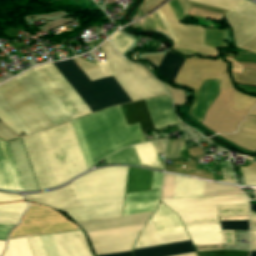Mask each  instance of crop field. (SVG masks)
Wrapping results in <instances>:
<instances>
[{"label":"crop field","mask_w":256,"mask_h":256,"mask_svg":"<svg viewBox=\"0 0 256 256\" xmlns=\"http://www.w3.org/2000/svg\"><path fill=\"white\" fill-rule=\"evenodd\" d=\"M47 256H59L51 234L39 236ZM38 236L29 237L28 242L34 256H46Z\"/></svg>","instance_id":"bd1437ed"},{"label":"crop field","mask_w":256,"mask_h":256,"mask_svg":"<svg viewBox=\"0 0 256 256\" xmlns=\"http://www.w3.org/2000/svg\"><path fill=\"white\" fill-rule=\"evenodd\" d=\"M204 181L177 176L174 198L202 196Z\"/></svg>","instance_id":"750c4746"},{"label":"crop field","mask_w":256,"mask_h":256,"mask_svg":"<svg viewBox=\"0 0 256 256\" xmlns=\"http://www.w3.org/2000/svg\"><path fill=\"white\" fill-rule=\"evenodd\" d=\"M20 217L21 215L0 213V224L17 225ZM9 225H0V239L6 240L8 231L14 227Z\"/></svg>","instance_id":"c21b1889"},{"label":"crop field","mask_w":256,"mask_h":256,"mask_svg":"<svg viewBox=\"0 0 256 256\" xmlns=\"http://www.w3.org/2000/svg\"><path fill=\"white\" fill-rule=\"evenodd\" d=\"M184 60L185 58L167 52L157 70L162 77L173 82Z\"/></svg>","instance_id":"1d83c4d3"},{"label":"crop field","mask_w":256,"mask_h":256,"mask_svg":"<svg viewBox=\"0 0 256 256\" xmlns=\"http://www.w3.org/2000/svg\"><path fill=\"white\" fill-rule=\"evenodd\" d=\"M0 138L8 141L11 139L18 138L11 130H9L6 126L0 123Z\"/></svg>","instance_id":"db79e9e6"},{"label":"crop field","mask_w":256,"mask_h":256,"mask_svg":"<svg viewBox=\"0 0 256 256\" xmlns=\"http://www.w3.org/2000/svg\"><path fill=\"white\" fill-rule=\"evenodd\" d=\"M224 32L205 28V44L214 48L227 46L224 42Z\"/></svg>","instance_id":"c035e120"},{"label":"crop field","mask_w":256,"mask_h":256,"mask_svg":"<svg viewBox=\"0 0 256 256\" xmlns=\"http://www.w3.org/2000/svg\"><path fill=\"white\" fill-rule=\"evenodd\" d=\"M250 256H256V252L251 251Z\"/></svg>","instance_id":"819c52e7"},{"label":"crop field","mask_w":256,"mask_h":256,"mask_svg":"<svg viewBox=\"0 0 256 256\" xmlns=\"http://www.w3.org/2000/svg\"><path fill=\"white\" fill-rule=\"evenodd\" d=\"M147 83L157 93L158 96L167 94L160 82H158L153 76L146 79Z\"/></svg>","instance_id":"447ae74e"},{"label":"crop field","mask_w":256,"mask_h":256,"mask_svg":"<svg viewBox=\"0 0 256 256\" xmlns=\"http://www.w3.org/2000/svg\"><path fill=\"white\" fill-rule=\"evenodd\" d=\"M26 191L39 190L20 139L8 143Z\"/></svg>","instance_id":"a9b5d70f"},{"label":"crop field","mask_w":256,"mask_h":256,"mask_svg":"<svg viewBox=\"0 0 256 256\" xmlns=\"http://www.w3.org/2000/svg\"><path fill=\"white\" fill-rule=\"evenodd\" d=\"M221 229L249 230L248 221L220 222Z\"/></svg>","instance_id":"1f2cbd36"},{"label":"crop field","mask_w":256,"mask_h":256,"mask_svg":"<svg viewBox=\"0 0 256 256\" xmlns=\"http://www.w3.org/2000/svg\"><path fill=\"white\" fill-rule=\"evenodd\" d=\"M163 173L153 171L151 189L161 187Z\"/></svg>","instance_id":"ae633e8c"},{"label":"crop field","mask_w":256,"mask_h":256,"mask_svg":"<svg viewBox=\"0 0 256 256\" xmlns=\"http://www.w3.org/2000/svg\"><path fill=\"white\" fill-rule=\"evenodd\" d=\"M148 17H149V19H150V21H151V23L153 24V26H154L155 29L166 32V30H165V28H164V26H163V24H162L160 18H159L158 15L156 14V12H154V13L148 15ZM166 33H167V32H166ZM166 33H165V34H166Z\"/></svg>","instance_id":"78b8030e"},{"label":"crop field","mask_w":256,"mask_h":256,"mask_svg":"<svg viewBox=\"0 0 256 256\" xmlns=\"http://www.w3.org/2000/svg\"><path fill=\"white\" fill-rule=\"evenodd\" d=\"M0 108L6 113V115L26 134H31L22 121L18 118L15 112L11 109L8 103L0 95Z\"/></svg>","instance_id":"b54c1fbb"},{"label":"crop field","mask_w":256,"mask_h":256,"mask_svg":"<svg viewBox=\"0 0 256 256\" xmlns=\"http://www.w3.org/2000/svg\"><path fill=\"white\" fill-rule=\"evenodd\" d=\"M150 222H154L158 234L184 229L177 215L162 203L148 223Z\"/></svg>","instance_id":"ae1a2a85"},{"label":"crop field","mask_w":256,"mask_h":256,"mask_svg":"<svg viewBox=\"0 0 256 256\" xmlns=\"http://www.w3.org/2000/svg\"><path fill=\"white\" fill-rule=\"evenodd\" d=\"M161 19L168 20V21H175L177 22L173 12L171 11L168 3L165 4L163 7H161L159 10H157Z\"/></svg>","instance_id":"0fb4a251"},{"label":"crop field","mask_w":256,"mask_h":256,"mask_svg":"<svg viewBox=\"0 0 256 256\" xmlns=\"http://www.w3.org/2000/svg\"><path fill=\"white\" fill-rule=\"evenodd\" d=\"M226 138L238 146L256 150V116H247V118L241 123L239 130L235 134H221L219 135Z\"/></svg>","instance_id":"4177f3b9"},{"label":"crop field","mask_w":256,"mask_h":256,"mask_svg":"<svg viewBox=\"0 0 256 256\" xmlns=\"http://www.w3.org/2000/svg\"><path fill=\"white\" fill-rule=\"evenodd\" d=\"M256 219V213L251 212V218ZM251 231H256V220H250ZM251 250H256V235H251Z\"/></svg>","instance_id":"e1d0b9f6"},{"label":"crop field","mask_w":256,"mask_h":256,"mask_svg":"<svg viewBox=\"0 0 256 256\" xmlns=\"http://www.w3.org/2000/svg\"><path fill=\"white\" fill-rule=\"evenodd\" d=\"M72 229H75L74 226L63 217L45 207L38 206L30 209L22 224L11 236L38 232L46 234Z\"/></svg>","instance_id":"d1516ede"},{"label":"crop field","mask_w":256,"mask_h":256,"mask_svg":"<svg viewBox=\"0 0 256 256\" xmlns=\"http://www.w3.org/2000/svg\"><path fill=\"white\" fill-rule=\"evenodd\" d=\"M99 48L106 58L113 76L133 101L157 96L144 80L151 76L145 68L119 57L120 55L116 54L109 41L103 43Z\"/></svg>","instance_id":"dd49c442"},{"label":"crop field","mask_w":256,"mask_h":256,"mask_svg":"<svg viewBox=\"0 0 256 256\" xmlns=\"http://www.w3.org/2000/svg\"><path fill=\"white\" fill-rule=\"evenodd\" d=\"M165 1L166 0H144L143 3L140 5L139 9L146 14L157 8Z\"/></svg>","instance_id":"dbb93151"},{"label":"crop field","mask_w":256,"mask_h":256,"mask_svg":"<svg viewBox=\"0 0 256 256\" xmlns=\"http://www.w3.org/2000/svg\"><path fill=\"white\" fill-rule=\"evenodd\" d=\"M0 93L32 133L52 126L15 78L0 85Z\"/></svg>","instance_id":"5a996713"},{"label":"crop field","mask_w":256,"mask_h":256,"mask_svg":"<svg viewBox=\"0 0 256 256\" xmlns=\"http://www.w3.org/2000/svg\"><path fill=\"white\" fill-rule=\"evenodd\" d=\"M74 60L79 65V67L81 69H83L84 71H89V70H93V69H97L98 68L96 63L92 64V63H89V62H85L81 58H75Z\"/></svg>","instance_id":"0f1d7ab4"},{"label":"crop field","mask_w":256,"mask_h":256,"mask_svg":"<svg viewBox=\"0 0 256 256\" xmlns=\"http://www.w3.org/2000/svg\"><path fill=\"white\" fill-rule=\"evenodd\" d=\"M10 256H33L26 238L8 240Z\"/></svg>","instance_id":"0bd39190"},{"label":"crop field","mask_w":256,"mask_h":256,"mask_svg":"<svg viewBox=\"0 0 256 256\" xmlns=\"http://www.w3.org/2000/svg\"><path fill=\"white\" fill-rule=\"evenodd\" d=\"M71 122L88 168L120 148L145 142L138 123L127 126L120 105Z\"/></svg>","instance_id":"8a807250"},{"label":"crop field","mask_w":256,"mask_h":256,"mask_svg":"<svg viewBox=\"0 0 256 256\" xmlns=\"http://www.w3.org/2000/svg\"><path fill=\"white\" fill-rule=\"evenodd\" d=\"M243 194L237 187L205 182L203 196H222Z\"/></svg>","instance_id":"028f5c9d"},{"label":"crop field","mask_w":256,"mask_h":256,"mask_svg":"<svg viewBox=\"0 0 256 256\" xmlns=\"http://www.w3.org/2000/svg\"><path fill=\"white\" fill-rule=\"evenodd\" d=\"M164 54H160V55H148V56H145L147 57L148 59H150L151 61L155 62L156 64L159 65L161 59L163 58Z\"/></svg>","instance_id":"c5b07064"},{"label":"crop field","mask_w":256,"mask_h":256,"mask_svg":"<svg viewBox=\"0 0 256 256\" xmlns=\"http://www.w3.org/2000/svg\"><path fill=\"white\" fill-rule=\"evenodd\" d=\"M232 75L235 83L256 86V71L245 70L244 74L232 73Z\"/></svg>","instance_id":"5d738f31"},{"label":"crop field","mask_w":256,"mask_h":256,"mask_svg":"<svg viewBox=\"0 0 256 256\" xmlns=\"http://www.w3.org/2000/svg\"><path fill=\"white\" fill-rule=\"evenodd\" d=\"M158 153H163L164 146L162 142H154L153 143Z\"/></svg>","instance_id":"fb207236"},{"label":"crop field","mask_w":256,"mask_h":256,"mask_svg":"<svg viewBox=\"0 0 256 256\" xmlns=\"http://www.w3.org/2000/svg\"><path fill=\"white\" fill-rule=\"evenodd\" d=\"M60 256H92L82 231L52 234Z\"/></svg>","instance_id":"bc2a9ffb"},{"label":"crop field","mask_w":256,"mask_h":256,"mask_svg":"<svg viewBox=\"0 0 256 256\" xmlns=\"http://www.w3.org/2000/svg\"><path fill=\"white\" fill-rule=\"evenodd\" d=\"M224 245H236L234 231L231 230H221Z\"/></svg>","instance_id":"7b73153f"},{"label":"crop field","mask_w":256,"mask_h":256,"mask_svg":"<svg viewBox=\"0 0 256 256\" xmlns=\"http://www.w3.org/2000/svg\"><path fill=\"white\" fill-rule=\"evenodd\" d=\"M38 134L57 186L88 170L70 121Z\"/></svg>","instance_id":"412701ff"},{"label":"crop field","mask_w":256,"mask_h":256,"mask_svg":"<svg viewBox=\"0 0 256 256\" xmlns=\"http://www.w3.org/2000/svg\"><path fill=\"white\" fill-rule=\"evenodd\" d=\"M158 236L161 244L189 240L185 230L160 234Z\"/></svg>","instance_id":"d23c7cc5"},{"label":"crop field","mask_w":256,"mask_h":256,"mask_svg":"<svg viewBox=\"0 0 256 256\" xmlns=\"http://www.w3.org/2000/svg\"><path fill=\"white\" fill-rule=\"evenodd\" d=\"M243 174L245 185H256V163L249 167L240 168Z\"/></svg>","instance_id":"73cf0c24"},{"label":"crop field","mask_w":256,"mask_h":256,"mask_svg":"<svg viewBox=\"0 0 256 256\" xmlns=\"http://www.w3.org/2000/svg\"><path fill=\"white\" fill-rule=\"evenodd\" d=\"M6 241H0V256L3 253L4 247H5Z\"/></svg>","instance_id":"7312dd0a"},{"label":"crop field","mask_w":256,"mask_h":256,"mask_svg":"<svg viewBox=\"0 0 256 256\" xmlns=\"http://www.w3.org/2000/svg\"><path fill=\"white\" fill-rule=\"evenodd\" d=\"M159 196L160 189L126 194L123 215L154 211Z\"/></svg>","instance_id":"00972430"},{"label":"crop field","mask_w":256,"mask_h":256,"mask_svg":"<svg viewBox=\"0 0 256 256\" xmlns=\"http://www.w3.org/2000/svg\"><path fill=\"white\" fill-rule=\"evenodd\" d=\"M168 3L171 5L178 22L186 16L191 8L187 0H170Z\"/></svg>","instance_id":"03da06ac"},{"label":"crop field","mask_w":256,"mask_h":256,"mask_svg":"<svg viewBox=\"0 0 256 256\" xmlns=\"http://www.w3.org/2000/svg\"><path fill=\"white\" fill-rule=\"evenodd\" d=\"M179 256H198L196 252L194 253H189V254H184V255H179Z\"/></svg>","instance_id":"180be81f"},{"label":"crop field","mask_w":256,"mask_h":256,"mask_svg":"<svg viewBox=\"0 0 256 256\" xmlns=\"http://www.w3.org/2000/svg\"><path fill=\"white\" fill-rule=\"evenodd\" d=\"M111 40L116 48V50L121 55L127 47L134 41L118 32H116L112 37Z\"/></svg>","instance_id":"25e5ab78"},{"label":"crop field","mask_w":256,"mask_h":256,"mask_svg":"<svg viewBox=\"0 0 256 256\" xmlns=\"http://www.w3.org/2000/svg\"><path fill=\"white\" fill-rule=\"evenodd\" d=\"M219 93V80L204 81L199 92L196 104L190 110V114L202 121L209 106Z\"/></svg>","instance_id":"730fd06b"},{"label":"crop field","mask_w":256,"mask_h":256,"mask_svg":"<svg viewBox=\"0 0 256 256\" xmlns=\"http://www.w3.org/2000/svg\"><path fill=\"white\" fill-rule=\"evenodd\" d=\"M3 256H9V255H8V252H7V249H6V251H5V253H4Z\"/></svg>","instance_id":"c821d689"},{"label":"crop field","mask_w":256,"mask_h":256,"mask_svg":"<svg viewBox=\"0 0 256 256\" xmlns=\"http://www.w3.org/2000/svg\"><path fill=\"white\" fill-rule=\"evenodd\" d=\"M163 23L173 38L175 47L218 55L216 49L203 45L204 27L187 26L164 21Z\"/></svg>","instance_id":"d9b57169"},{"label":"crop field","mask_w":256,"mask_h":256,"mask_svg":"<svg viewBox=\"0 0 256 256\" xmlns=\"http://www.w3.org/2000/svg\"><path fill=\"white\" fill-rule=\"evenodd\" d=\"M240 48L252 51L256 53V36L243 44Z\"/></svg>","instance_id":"d14b1444"},{"label":"crop field","mask_w":256,"mask_h":256,"mask_svg":"<svg viewBox=\"0 0 256 256\" xmlns=\"http://www.w3.org/2000/svg\"><path fill=\"white\" fill-rule=\"evenodd\" d=\"M232 88L234 110H247L250 111L256 105V98L249 97L238 93L232 86L228 74H223L220 80V89Z\"/></svg>","instance_id":"120bbe31"},{"label":"crop field","mask_w":256,"mask_h":256,"mask_svg":"<svg viewBox=\"0 0 256 256\" xmlns=\"http://www.w3.org/2000/svg\"><path fill=\"white\" fill-rule=\"evenodd\" d=\"M21 196L0 192V201L24 199ZM26 208H27V202L20 203V204H6V205H0V212L23 214Z\"/></svg>","instance_id":"e1f06a70"},{"label":"crop field","mask_w":256,"mask_h":256,"mask_svg":"<svg viewBox=\"0 0 256 256\" xmlns=\"http://www.w3.org/2000/svg\"><path fill=\"white\" fill-rule=\"evenodd\" d=\"M224 69L225 64L221 61L186 60L174 83L198 89L206 79H220Z\"/></svg>","instance_id":"cbeb9de0"},{"label":"crop field","mask_w":256,"mask_h":256,"mask_svg":"<svg viewBox=\"0 0 256 256\" xmlns=\"http://www.w3.org/2000/svg\"><path fill=\"white\" fill-rule=\"evenodd\" d=\"M168 91L170 92L173 101L175 103V106L184 103L186 101V99L183 96L182 90L180 89H175V88H170L167 87Z\"/></svg>","instance_id":"9d1cf04e"},{"label":"crop field","mask_w":256,"mask_h":256,"mask_svg":"<svg viewBox=\"0 0 256 256\" xmlns=\"http://www.w3.org/2000/svg\"><path fill=\"white\" fill-rule=\"evenodd\" d=\"M86 74L91 79V81H93L95 79H98V78H103L104 77V75L102 74L100 69L94 70V71H90V72H86Z\"/></svg>","instance_id":"ade564c9"},{"label":"crop field","mask_w":256,"mask_h":256,"mask_svg":"<svg viewBox=\"0 0 256 256\" xmlns=\"http://www.w3.org/2000/svg\"><path fill=\"white\" fill-rule=\"evenodd\" d=\"M90 53H91V55L93 56L92 52H90ZM93 57H94V56H93ZM94 59H95V57H94ZM95 61H96V63L98 64L99 68L102 70V72H103V74L105 75V77L112 75L111 72H110V70H109V67H108L106 61L100 62V63H98L96 59H95Z\"/></svg>","instance_id":"c39391a2"},{"label":"crop field","mask_w":256,"mask_h":256,"mask_svg":"<svg viewBox=\"0 0 256 256\" xmlns=\"http://www.w3.org/2000/svg\"><path fill=\"white\" fill-rule=\"evenodd\" d=\"M190 15H195V16H200V17H205V18H214V19H221L222 15L213 13V12H208L204 10H199L192 8V10L189 12Z\"/></svg>","instance_id":"1d79db26"},{"label":"crop field","mask_w":256,"mask_h":256,"mask_svg":"<svg viewBox=\"0 0 256 256\" xmlns=\"http://www.w3.org/2000/svg\"><path fill=\"white\" fill-rule=\"evenodd\" d=\"M157 244H160V243L158 240V236H157L154 224L151 223V224H147V226L144 228L134 248L157 245ZM194 251L195 249L191 241H187V242H179V243L137 248V249H134L133 255L134 256H172V255H178V254L194 252Z\"/></svg>","instance_id":"22f410ed"},{"label":"crop field","mask_w":256,"mask_h":256,"mask_svg":"<svg viewBox=\"0 0 256 256\" xmlns=\"http://www.w3.org/2000/svg\"><path fill=\"white\" fill-rule=\"evenodd\" d=\"M0 120L18 135L23 134V132L5 115V113L1 109H0Z\"/></svg>","instance_id":"0765c3eb"},{"label":"crop field","mask_w":256,"mask_h":256,"mask_svg":"<svg viewBox=\"0 0 256 256\" xmlns=\"http://www.w3.org/2000/svg\"><path fill=\"white\" fill-rule=\"evenodd\" d=\"M152 212L131 215V216H118L112 217L108 219H100L93 221H86L77 223L81 226L85 232L102 230V229H110V228H118V227H126V226H134V225H142L145 224L148 218L151 216Z\"/></svg>","instance_id":"dafd665d"},{"label":"crop field","mask_w":256,"mask_h":256,"mask_svg":"<svg viewBox=\"0 0 256 256\" xmlns=\"http://www.w3.org/2000/svg\"><path fill=\"white\" fill-rule=\"evenodd\" d=\"M127 167L95 170L73 180L84 206L123 200ZM123 201L63 209L75 221L121 215Z\"/></svg>","instance_id":"ac0d7876"},{"label":"crop field","mask_w":256,"mask_h":256,"mask_svg":"<svg viewBox=\"0 0 256 256\" xmlns=\"http://www.w3.org/2000/svg\"><path fill=\"white\" fill-rule=\"evenodd\" d=\"M54 64L92 112L132 101L113 76L91 82L72 59Z\"/></svg>","instance_id":"f4fd0767"},{"label":"crop field","mask_w":256,"mask_h":256,"mask_svg":"<svg viewBox=\"0 0 256 256\" xmlns=\"http://www.w3.org/2000/svg\"><path fill=\"white\" fill-rule=\"evenodd\" d=\"M219 217L249 215L248 204L217 206Z\"/></svg>","instance_id":"b80d0937"},{"label":"crop field","mask_w":256,"mask_h":256,"mask_svg":"<svg viewBox=\"0 0 256 256\" xmlns=\"http://www.w3.org/2000/svg\"><path fill=\"white\" fill-rule=\"evenodd\" d=\"M133 147L141 164L162 167L151 142Z\"/></svg>","instance_id":"d32e631a"},{"label":"crop field","mask_w":256,"mask_h":256,"mask_svg":"<svg viewBox=\"0 0 256 256\" xmlns=\"http://www.w3.org/2000/svg\"><path fill=\"white\" fill-rule=\"evenodd\" d=\"M32 69L72 119L91 113L53 63L43 64Z\"/></svg>","instance_id":"d8731c3e"},{"label":"crop field","mask_w":256,"mask_h":256,"mask_svg":"<svg viewBox=\"0 0 256 256\" xmlns=\"http://www.w3.org/2000/svg\"><path fill=\"white\" fill-rule=\"evenodd\" d=\"M15 78L53 125L71 120L70 116L49 92V90L45 87L32 69Z\"/></svg>","instance_id":"3316defc"},{"label":"crop field","mask_w":256,"mask_h":256,"mask_svg":"<svg viewBox=\"0 0 256 256\" xmlns=\"http://www.w3.org/2000/svg\"><path fill=\"white\" fill-rule=\"evenodd\" d=\"M0 189L25 191L8 144L0 139Z\"/></svg>","instance_id":"4a817a6b"},{"label":"crop field","mask_w":256,"mask_h":256,"mask_svg":"<svg viewBox=\"0 0 256 256\" xmlns=\"http://www.w3.org/2000/svg\"><path fill=\"white\" fill-rule=\"evenodd\" d=\"M145 101L156 129L180 123L173 112L171 99L168 95Z\"/></svg>","instance_id":"92a150f3"},{"label":"crop field","mask_w":256,"mask_h":256,"mask_svg":"<svg viewBox=\"0 0 256 256\" xmlns=\"http://www.w3.org/2000/svg\"><path fill=\"white\" fill-rule=\"evenodd\" d=\"M121 106L128 125L139 122L143 132L155 129L144 100Z\"/></svg>","instance_id":"eef30255"},{"label":"crop field","mask_w":256,"mask_h":256,"mask_svg":"<svg viewBox=\"0 0 256 256\" xmlns=\"http://www.w3.org/2000/svg\"><path fill=\"white\" fill-rule=\"evenodd\" d=\"M100 256H132L131 251L128 252H121V253H114V254H107V255H100Z\"/></svg>","instance_id":"c3a83c6f"},{"label":"crop field","mask_w":256,"mask_h":256,"mask_svg":"<svg viewBox=\"0 0 256 256\" xmlns=\"http://www.w3.org/2000/svg\"><path fill=\"white\" fill-rule=\"evenodd\" d=\"M251 234H256V232H251Z\"/></svg>","instance_id":"a0ae1fb6"},{"label":"crop field","mask_w":256,"mask_h":256,"mask_svg":"<svg viewBox=\"0 0 256 256\" xmlns=\"http://www.w3.org/2000/svg\"><path fill=\"white\" fill-rule=\"evenodd\" d=\"M152 171L128 167L125 193L150 189Z\"/></svg>","instance_id":"d3111659"},{"label":"crop field","mask_w":256,"mask_h":256,"mask_svg":"<svg viewBox=\"0 0 256 256\" xmlns=\"http://www.w3.org/2000/svg\"><path fill=\"white\" fill-rule=\"evenodd\" d=\"M27 200L45 204L55 209L83 206L73 182L49 192L25 195Z\"/></svg>","instance_id":"733c2abd"},{"label":"crop field","mask_w":256,"mask_h":256,"mask_svg":"<svg viewBox=\"0 0 256 256\" xmlns=\"http://www.w3.org/2000/svg\"><path fill=\"white\" fill-rule=\"evenodd\" d=\"M247 113V111H233L231 89L220 90L202 124L217 133H231L237 130L238 124Z\"/></svg>","instance_id":"28ad6ade"},{"label":"crop field","mask_w":256,"mask_h":256,"mask_svg":"<svg viewBox=\"0 0 256 256\" xmlns=\"http://www.w3.org/2000/svg\"><path fill=\"white\" fill-rule=\"evenodd\" d=\"M105 161L106 163H128V164H135L140 166V163L137 159V156L132 146L122 149L106 157Z\"/></svg>","instance_id":"5866460e"},{"label":"crop field","mask_w":256,"mask_h":256,"mask_svg":"<svg viewBox=\"0 0 256 256\" xmlns=\"http://www.w3.org/2000/svg\"><path fill=\"white\" fill-rule=\"evenodd\" d=\"M196 3L229 10L241 0H190ZM234 31V39L239 47L256 35V5L243 0L225 14Z\"/></svg>","instance_id":"e52e79f7"},{"label":"crop field","mask_w":256,"mask_h":256,"mask_svg":"<svg viewBox=\"0 0 256 256\" xmlns=\"http://www.w3.org/2000/svg\"><path fill=\"white\" fill-rule=\"evenodd\" d=\"M26 153L40 189L55 187L38 134L22 137Z\"/></svg>","instance_id":"5142ce71"},{"label":"crop field","mask_w":256,"mask_h":256,"mask_svg":"<svg viewBox=\"0 0 256 256\" xmlns=\"http://www.w3.org/2000/svg\"><path fill=\"white\" fill-rule=\"evenodd\" d=\"M139 231L90 239L96 255L128 251Z\"/></svg>","instance_id":"214f88e0"},{"label":"crop field","mask_w":256,"mask_h":256,"mask_svg":"<svg viewBox=\"0 0 256 256\" xmlns=\"http://www.w3.org/2000/svg\"><path fill=\"white\" fill-rule=\"evenodd\" d=\"M181 141L182 139H175L168 142L165 159L177 157Z\"/></svg>","instance_id":"89e229c0"},{"label":"crop field","mask_w":256,"mask_h":256,"mask_svg":"<svg viewBox=\"0 0 256 256\" xmlns=\"http://www.w3.org/2000/svg\"><path fill=\"white\" fill-rule=\"evenodd\" d=\"M249 114L250 115H256V107Z\"/></svg>","instance_id":"1f1604b0"},{"label":"crop field","mask_w":256,"mask_h":256,"mask_svg":"<svg viewBox=\"0 0 256 256\" xmlns=\"http://www.w3.org/2000/svg\"><path fill=\"white\" fill-rule=\"evenodd\" d=\"M250 209L256 212V205H250Z\"/></svg>","instance_id":"f0312440"},{"label":"crop field","mask_w":256,"mask_h":256,"mask_svg":"<svg viewBox=\"0 0 256 256\" xmlns=\"http://www.w3.org/2000/svg\"><path fill=\"white\" fill-rule=\"evenodd\" d=\"M175 179V175L165 173L161 199L173 198Z\"/></svg>","instance_id":"425ffa30"},{"label":"crop field","mask_w":256,"mask_h":256,"mask_svg":"<svg viewBox=\"0 0 256 256\" xmlns=\"http://www.w3.org/2000/svg\"><path fill=\"white\" fill-rule=\"evenodd\" d=\"M161 201L181 218L193 245L222 243L216 205L248 203L245 195Z\"/></svg>","instance_id":"34b2d1b8"}]
</instances>
